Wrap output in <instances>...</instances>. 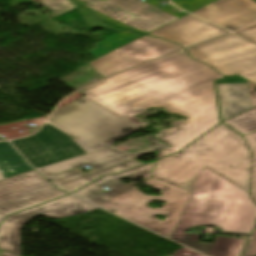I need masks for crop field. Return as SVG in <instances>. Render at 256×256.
<instances>
[{"mask_svg": "<svg viewBox=\"0 0 256 256\" xmlns=\"http://www.w3.org/2000/svg\"><path fill=\"white\" fill-rule=\"evenodd\" d=\"M222 77L202 64L95 102L139 128L147 124L137 114L165 107L188 119L172 121V128L164 132L198 138L219 123L213 80Z\"/></svg>", "mask_w": 256, "mask_h": 256, "instance_id": "1", "label": "crop field"}, {"mask_svg": "<svg viewBox=\"0 0 256 256\" xmlns=\"http://www.w3.org/2000/svg\"><path fill=\"white\" fill-rule=\"evenodd\" d=\"M181 188L191 192L172 240L207 256H241L248 239L215 236L212 244L198 243L201 235L184 233L211 225L220 233L250 235L256 222V205L249 194L205 168Z\"/></svg>", "mask_w": 256, "mask_h": 256, "instance_id": "2", "label": "crop field"}, {"mask_svg": "<svg viewBox=\"0 0 256 256\" xmlns=\"http://www.w3.org/2000/svg\"><path fill=\"white\" fill-rule=\"evenodd\" d=\"M251 153L244 146L199 139L156 162L153 178L181 187L205 167L249 192Z\"/></svg>", "mask_w": 256, "mask_h": 256, "instance_id": "3", "label": "crop field"}, {"mask_svg": "<svg viewBox=\"0 0 256 256\" xmlns=\"http://www.w3.org/2000/svg\"><path fill=\"white\" fill-rule=\"evenodd\" d=\"M48 121L77 136L75 141L87 153L111 147L139 129L86 97L58 108Z\"/></svg>", "mask_w": 256, "mask_h": 256, "instance_id": "4", "label": "crop field"}, {"mask_svg": "<svg viewBox=\"0 0 256 256\" xmlns=\"http://www.w3.org/2000/svg\"><path fill=\"white\" fill-rule=\"evenodd\" d=\"M146 183L164 192L163 195L161 197L146 196L133 187L99 206L115 210V214L170 238L189 192L153 178L147 179ZM152 200L166 201V203L163 209H151L146 206V203ZM156 214L167 217L164 222H161L154 218Z\"/></svg>", "mask_w": 256, "mask_h": 256, "instance_id": "5", "label": "crop field"}, {"mask_svg": "<svg viewBox=\"0 0 256 256\" xmlns=\"http://www.w3.org/2000/svg\"><path fill=\"white\" fill-rule=\"evenodd\" d=\"M199 64L202 63L192 60L187 56L185 50H183L112 76L94 86L82 90L80 94L95 101Z\"/></svg>", "mask_w": 256, "mask_h": 256, "instance_id": "6", "label": "crop field"}, {"mask_svg": "<svg viewBox=\"0 0 256 256\" xmlns=\"http://www.w3.org/2000/svg\"><path fill=\"white\" fill-rule=\"evenodd\" d=\"M68 195L39 175L29 172L0 181V221L4 216Z\"/></svg>", "mask_w": 256, "mask_h": 256, "instance_id": "7", "label": "crop field"}, {"mask_svg": "<svg viewBox=\"0 0 256 256\" xmlns=\"http://www.w3.org/2000/svg\"><path fill=\"white\" fill-rule=\"evenodd\" d=\"M12 143L35 168L86 154L64 132L49 124H44L32 137L12 141Z\"/></svg>", "mask_w": 256, "mask_h": 256, "instance_id": "8", "label": "crop field"}, {"mask_svg": "<svg viewBox=\"0 0 256 256\" xmlns=\"http://www.w3.org/2000/svg\"><path fill=\"white\" fill-rule=\"evenodd\" d=\"M95 209L99 208L69 195L31 210L9 216L0 225V249L21 256L19 230L37 214H43L51 219H59Z\"/></svg>", "mask_w": 256, "mask_h": 256, "instance_id": "9", "label": "crop field"}, {"mask_svg": "<svg viewBox=\"0 0 256 256\" xmlns=\"http://www.w3.org/2000/svg\"><path fill=\"white\" fill-rule=\"evenodd\" d=\"M144 138L150 141L149 144L151 145L152 148L134 152V153H127L118 148L111 147L104 150L89 153L83 156H79L64 162L45 166V167L39 168L38 170H40L45 175L49 176V175L56 174V173L69 170L78 166H82L85 164L95 169L93 171L86 172V173L76 171V170H71L59 175L49 177V179H51L54 183L59 185L64 182L73 180L75 178L87 175L89 173L113 166L115 164L130 160L136 157L150 154L168 147L167 145L155 140L152 136H145Z\"/></svg>", "mask_w": 256, "mask_h": 256, "instance_id": "10", "label": "crop field"}, {"mask_svg": "<svg viewBox=\"0 0 256 256\" xmlns=\"http://www.w3.org/2000/svg\"><path fill=\"white\" fill-rule=\"evenodd\" d=\"M89 8L131 28L151 32L178 18L138 0H83Z\"/></svg>", "mask_w": 256, "mask_h": 256, "instance_id": "11", "label": "crop field"}, {"mask_svg": "<svg viewBox=\"0 0 256 256\" xmlns=\"http://www.w3.org/2000/svg\"><path fill=\"white\" fill-rule=\"evenodd\" d=\"M174 51L173 47L141 37L89 64L105 77Z\"/></svg>", "mask_w": 256, "mask_h": 256, "instance_id": "12", "label": "crop field"}, {"mask_svg": "<svg viewBox=\"0 0 256 256\" xmlns=\"http://www.w3.org/2000/svg\"><path fill=\"white\" fill-rule=\"evenodd\" d=\"M225 33L228 31L189 14L149 35L175 41L186 48Z\"/></svg>", "mask_w": 256, "mask_h": 256, "instance_id": "13", "label": "crop field"}, {"mask_svg": "<svg viewBox=\"0 0 256 256\" xmlns=\"http://www.w3.org/2000/svg\"><path fill=\"white\" fill-rule=\"evenodd\" d=\"M216 86L222 121L256 107V85L240 76L218 80Z\"/></svg>", "mask_w": 256, "mask_h": 256, "instance_id": "14", "label": "crop field"}, {"mask_svg": "<svg viewBox=\"0 0 256 256\" xmlns=\"http://www.w3.org/2000/svg\"><path fill=\"white\" fill-rule=\"evenodd\" d=\"M193 13L236 30L256 24V7L243 0H217Z\"/></svg>", "mask_w": 256, "mask_h": 256, "instance_id": "15", "label": "crop field"}, {"mask_svg": "<svg viewBox=\"0 0 256 256\" xmlns=\"http://www.w3.org/2000/svg\"><path fill=\"white\" fill-rule=\"evenodd\" d=\"M153 162H150V163L142 165L140 167L131 169L129 171L123 172L118 175L104 176L73 194L85 199V198L101 191V189L99 188L101 186L107 185V186L113 188L112 190H110L108 192H101L87 200L91 203L98 205V204L114 197L115 195L133 187L134 183L125 184V183L118 182L123 177H131L132 179H134V178H137V176H142L145 179L149 178L150 174H151Z\"/></svg>", "mask_w": 256, "mask_h": 256, "instance_id": "16", "label": "crop field"}, {"mask_svg": "<svg viewBox=\"0 0 256 256\" xmlns=\"http://www.w3.org/2000/svg\"><path fill=\"white\" fill-rule=\"evenodd\" d=\"M254 46H256V44L235 34H230L189 48L188 50L196 52L201 58L211 61Z\"/></svg>", "mask_w": 256, "mask_h": 256, "instance_id": "17", "label": "crop field"}, {"mask_svg": "<svg viewBox=\"0 0 256 256\" xmlns=\"http://www.w3.org/2000/svg\"><path fill=\"white\" fill-rule=\"evenodd\" d=\"M211 62L256 83V47Z\"/></svg>", "mask_w": 256, "mask_h": 256, "instance_id": "18", "label": "crop field"}, {"mask_svg": "<svg viewBox=\"0 0 256 256\" xmlns=\"http://www.w3.org/2000/svg\"><path fill=\"white\" fill-rule=\"evenodd\" d=\"M32 170L9 142H0V173L6 178Z\"/></svg>", "mask_w": 256, "mask_h": 256, "instance_id": "19", "label": "crop field"}, {"mask_svg": "<svg viewBox=\"0 0 256 256\" xmlns=\"http://www.w3.org/2000/svg\"><path fill=\"white\" fill-rule=\"evenodd\" d=\"M142 164L141 162L133 159L118 165H115L113 167L89 174L87 176L78 178L76 180L64 183L62 185H59L62 189L72 193L74 191H76L77 189L81 188L82 186L88 184L89 182L93 181L94 179H96L97 177L101 176V175H105V174H111V173H117L120 172L122 170L134 167L136 165Z\"/></svg>", "mask_w": 256, "mask_h": 256, "instance_id": "20", "label": "crop field"}, {"mask_svg": "<svg viewBox=\"0 0 256 256\" xmlns=\"http://www.w3.org/2000/svg\"><path fill=\"white\" fill-rule=\"evenodd\" d=\"M139 38V36L123 33L121 35H113L97 44H95V48L92 51H89V53L92 55L94 59L109 53L135 39Z\"/></svg>", "mask_w": 256, "mask_h": 256, "instance_id": "21", "label": "crop field"}, {"mask_svg": "<svg viewBox=\"0 0 256 256\" xmlns=\"http://www.w3.org/2000/svg\"><path fill=\"white\" fill-rule=\"evenodd\" d=\"M223 123L240 132L242 135L256 131V108L230 118Z\"/></svg>", "mask_w": 256, "mask_h": 256, "instance_id": "22", "label": "crop field"}, {"mask_svg": "<svg viewBox=\"0 0 256 256\" xmlns=\"http://www.w3.org/2000/svg\"><path fill=\"white\" fill-rule=\"evenodd\" d=\"M155 138H157L171 146L169 148H166V149L160 151L157 158L178 152L185 145H187L190 142H192L193 140H195V138L179 136V135H174V134H169V133H164V132H160Z\"/></svg>", "mask_w": 256, "mask_h": 256, "instance_id": "23", "label": "crop field"}, {"mask_svg": "<svg viewBox=\"0 0 256 256\" xmlns=\"http://www.w3.org/2000/svg\"><path fill=\"white\" fill-rule=\"evenodd\" d=\"M223 125V124H222ZM221 124L217 126L215 129L207 133L202 139L244 145V142L240 135L234 133L233 131L227 129L226 127L222 126Z\"/></svg>", "mask_w": 256, "mask_h": 256, "instance_id": "24", "label": "crop field"}, {"mask_svg": "<svg viewBox=\"0 0 256 256\" xmlns=\"http://www.w3.org/2000/svg\"><path fill=\"white\" fill-rule=\"evenodd\" d=\"M79 1H81V0H79ZM103 1H104V0H103ZM81 2H83V1H81ZM83 3H85V2H83ZM145 3H147V4H149V5H152V6L156 7V8H158V9H161V10H163V11H165V12H168V13H170V14H172V15L178 17V18H180V17H182V16L188 14V13H185V12H182V11L178 10L176 7H174V6H172V5L165 6V7H161V6L158 5V3L156 2V0H147V1H145ZM85 4H86L85 6L88 8V4H87V3H85ZM88 9H89V8H88ZM89 10H91V9H89ZM91 11H93V10H91ZM93 12L96 13L99 17H101L104 21H106V22H108V23H110V24H113V25L118 26V27H120V28H129V27H127V26H125V25H123V24H121V23H118V22H116V21H114V20H112V19H110V18H108V17H106V16H103V15H101V14L95 12V11H93ZM168 13H167V14H168ZM96 14H95V15H96ZM101 18H100V19H101ZM130 29H131V28H130ZM133 30H136V31L145 33L144 31H142V30H140V29H133ZM146 34H147V33H146Z\"/></svg>", "mask_w": 256, "mask_h": 256, "instance_id": "25", "label": "crop field"}, {"mask_svg": "<svg viewBox=\"0 0 256 256\" xmlns=\"http://www.w3.org/2000/svg\"><path fill=\"white\" fill-rule=\"evenodd\" d=\"M79 13L82 15V17L85 19V21L87 22V24L90 26V28H98V27H104L106 29L118 32L119 29H116L110 25H107L105 23H103L101 20H99L97 17H95L93 14H91L87 9H85L83 6L80 8H77ZM76 9V10H77ZM123 32H127V33H131V34H135V35H139V36H143L139 33L136 32H132L129 30H125ZM122 33V32H121ZM118 34H120L118 32Z\"/></svg>", "mask_w": 256, "mask_h": 256, "instance_id": "26", "label": "crop field"}, {"mask_svg": "<svg viewBox=\"0 0 256 256\" xmlns=\"http://www.w3.org/2000/svg\"><path fill=\"white\" fill-rule=\"evenodd\" d=\"M40 5L47 8L52 13L51 15H49L52 18L60 14L66 13L74 8H77L63 0H48Z\"/></svg>", "mask_w": 256, "mask_h": 256, "instance_id": "27", "label": "crop field"}, {"mask_svg": "<svg viewBox=\"0 0 256 256\" xmlns=\"http://www.w3.org/2000/svg\"><path fill=\"white\" fill-rule=\"evenodd\" d=\"M252 153L253 167H252V180H251V198L256 202V132L244 135Z\"/></svg>", "mask_w": 256, "mask_h": 256, "instance_id": "28", "label": "crop field"}, {"mask_svg": "<svg viewBox=\"0 0 256 256\" xmlns=\"http://www.w3.org/2000/svg\"><path fill=\"white\" fill-rule=\"evenodd\" d=\"M215 0H173L174 4L187 11H194Z\"/></svg>", "mask_w": 256, "mask_h": 256, "instance_id": "29", "label": "crop field"}, {"mask_svg": "<svg viewBox=\"0 0 256 256\" xmlns=\"http://www.w3.org/2000/svg\"><path fill=\"white\" fill-rule=\"evenodd\" d=\"M237 33L242 34V35L256 41V25L239 30Z\"/></svg>", "mask_w": 256, "mask_h": 256, "instance_id": "30", "label": "crop field"}, {"mask_svg": "<svg viewBox=\"0 0 256 256\" xmlns=\"http://www.w3.org/2000/svg\"><path fill=\"white\" fill-rule=\"evenodd\" d=\"M173 256H202V255L195 253V252L184 247V248L176 251Z\"/></svg>", "mask_w": 256, "mask_h": 256, "instance_id": "31", "label": "crop field"}, {"mask_svg": "<svg viewBox=\"0 0 256 256\" xmlns=\"http://www.w3.org/2000/svg\"><path fill=\"white\" fill-rule=\"evenodd\" d=\"M207 64L210 65V66L213 67L215 70H217L218 72H220L221 74H223V75H225V76L231 75V74H235V73H233V72H231V71H229V70H226V69H224V68H222V67H220V66H217V65H215V64H213V63H211V62H207Z\"/></svg>", "mask_w": 256, "mask_h": 256, "instance_id": "32", "label": "crop field"}, {"mask_svg": "<svg viewBox=\"0 0 256 256\" xmlns=\"http://www.w3.org/2000/svg\"><path fill=\"white\" fill-rule=\"evenodd\" d=\"M247 256H256V235H255V237L253 239V242L251 244V247H250V249L248 251Z\"/></svg>", "mask_w": 256, "mask_h": 256, "instance_id": "33", "label": "crop field"}, {"mask_svg": "<svg viewBox=\"0 0 256 256\" xmlns=\"http://www.w3.org/2000/svg\"><path fill=\"white\" fill-rule=\"evenodd\" d=\"M154 39H155V40H158V41H160V42H163V43H165V44H167V45L173 46V47L177 48L178 50L182 49V47H180V46L177 45V44H173V43H170V42H167V41H164V40H160V39H157V38H154Z\"/></svg>", "mask_w": 256, "mask_h": 256, "instance_id": "34", "label": "crop field"}, {"mask_svg": "<svg viewBox=\"0 0 256 256\" xmlns=\"http://www.w3.org/2000/svg\"><path fill=\"white\" fill-rule=\"evenodd\" d=\"M188 51V50H187ZM189 53H190V55L193 57V58H195V59H197V60H200V61H203V62H207L206 60H203V59H201V58H199V56L197 55V54H195V53H193V52H190V51H188Z\"/></svg>", "mask_w": 256, "mask_h": 256, "instance_id": "35", "label": "crop field"}, {"mask_svg": "<svg viewBox=\"0 0 256 256\" xmlns=\"http://www.w3.org/2000/svg\"><path fill=\"white\" fill-rule=\"evenodd\" d=\"M44 118H45V117H44ZM44 118L33 119V121H35V124L40 125L41 122L44 120Z\"/></svg>", "mask_w": 256, "mask_h": 256, "instance_id": "36", "label": "crop field"}, {"mask_svg": "<svg viewBox=\"0 0 256 256\" xmlns=\"http://www.w3.org/2000/svg\"><path fill=\"white\" fill-rule=\"evenodd\" d=\"M0 256H14V255L5 253V252H3V251H0Z\"/></svg>", "mask_w": 256, "mask_h": 256, "instance_id": "37", "label": "crop field"}, {"mask_svg": "<svg viewBox=\"0 0 256 256\" xmlns=\"http://www.w3.org/2000/svg\"><path fill=\"white\" fill-rule=\"evenodd\" d=\"M66 1H68V2H70V3H72V4H74V5H76V6H81L80 4H77V3H75L74 1H72V0H66Z\"/></svg>", "mask_w": 256, "mask_h": 256, "instance_id": "38", "label": "crop field"}, {"mask_svg": "<svg viewBox=\"0 0 256 256\" xmlns=\"http://www.w3.org/2000/svg\"><path fill=\"white\" fill-rule=\"evenodd\" d=\"M248 2H250L251 4L255 5L256 6V2L252 1V0H246Z\"/></svg>", "mask_w": 256, "mask_h": 256, "instance_id": "39", "label": "crop field"}, {"mask_svg": "<svg viewBox=\"0 0 256 256\" xmlns=\"http://www.w3.org/2000/svg\"><path fill=\"white\" fill-rule=\"evenodd\" d=\"M74 1H77V0H74ZM77 2H79V1H77ZM79 3H81V2H79ZM81 4H83V3H81ZM84 5V4H83Z\"/></svg>", "mask_w": 256, "mask_h": 256, "instance_id": "40", "label": "crop field"}, {"mask_svg": "<svg viewBox=\"0 0 256 256\" xmlns=\"http://www.w3.org/2000/svg\"><path fill=\"white\" fill-rule=\"evenodd\" d=\"M0 179H3V177L0 175Z\"/></svg>", "mask_w": 256, "mask_h": 256, "instance_id": "41", "label": "crop field"}]
</instances>
